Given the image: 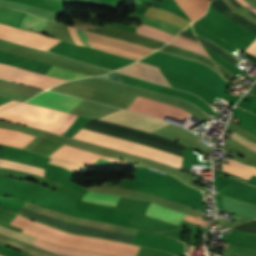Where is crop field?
<instances>
[{
    "label": "crop field",
    "mask_w": 256,
    "mask_h": 256,
    "mask_svg": "<svg viewBox=\"0 0 256 256\" xmlns=\"http://www.w3.org/2000/svg\"><path fill=\"white\" fill-rule=\"evenodd\" d=\"M222 165H223V171L230 172V173H232L234 175H237V176H239V177H241L245 180H247L251 176L248 173H245V172H242L240 170L234 169V168H232L230 166H227L225 164H222Z\"/></svg>",
    "instance_id": "crop-field-25"
},
{
    "label": "crop field",
    "mask_w": 256,
    "mask_h": 256,
    "mask_svg": "<svg viewBox=\"0 0 256 256\" xmlns=\"http://www.w3.org/2000/svg\"><path fill=\"white\" fill-rule=\"evenodd\" d=\"M26 13L0 7V23L13 27L19 26ZM0 24V38L27 46L48 50L60 40L40 35L38 33L13 28Z\"/></svg>",
    "instance_id": "crop-field-4"
},
{
    "label": "crop field",
    "mask_w": 256,
    "mask_h": 256,
    "mask_svg": "<svg viewBox=\"0 0 256 256\" xmlns=\"http://www.w3.org/2000/svg\"><path fill=\"white\" fill-rule=\"evenodd\" d=\"M0 167L22 170V171H26V172L36 174V175H40V176H43V173H44L43 169L28 166V165H24V164H20V163H16V162H12V161H9V160H4V159L1 160Z\"/></svg>",
    "instance_id": "crop-field-21"
},
{
    "label": "crop field",
    "mask_w": 256,
    "mask_h": 256,
    "mask_svg": "<svg viewBox=\"0 0 256 256\" xmlns=\"http://www.w3.org/2000/svg\"><path fill=\"white\" fill-rule=\"evenodd\" d=\"M242 6L246 7L247 9L251 10L252 12L256 13V9L251 5L247 4L244 0H237Z\"/></svg>",
    "instance_id": "crop-field-30"
},
{
    "label": "crop field",
    "mask_w": 256,
    "mask_h": 256,
    "mask_svg": "<svg viewBox=\"0 0 256 256\" xmlns=\"http://www.w3.org/2000/svg\"><path fill=\"white\" fill-rule=\"evenodd\" d=\"M81 101L82 99L45 91L26 101V103L69 112Z\"/></svg>",
    "instance_id": "crop-field-8"
},
{
    "label": "crop field",
    "mask_w": 256,
    "mask_h": 256,
    "mask_svg": "<svg viewBox=\"0 0 256 256\" xmlns=\"http://www.w3.org/2000/svg\"><path fill=\"white\" fill-rule=\"evenodd\" d=\"M170 43L175 44L177 46H180L184 49L191 50V51H194V52H197V53H200V54H203V55L207 56L203 47L195 45V44L190 43V42H187V41L182 40L178 37H175Z\"/></svg>",
    "instance_id": "crop-field-23"
},
{
    "label": "crop field",
    "mask_w": 256,
    "mask_h": 256,
    "mask_svg": "<svg viewBox=\"0 0 256 256\" xmlns=\"http://www.w3.org/2000/svg\"><path fill=\"white\" fill-rule=\"evenodd\" d=\"M18 214H21L23 216L41 221L43 223L49 224L51 226L60 228L62 230L68 231L70 233L75 234H81V235H87V236H93V237H99V238H105V239H112V240H118V241H124V242H131L132 238L122 235H117L113 233H108L104 231H99L95 229L85 228L81 226H76L72 224H68L26 209L21 208Z\"/></svg>",
    "instance_id": "crop-field-5"
},
{
    "label": "crop field",
    "mask_w": 256,
    "mask_h": 256,
    "mask_svg": "<svg viewBox=\"0 0 256 256\" xmlns=\"http://www.w3.org/2000/svg\"><path fill=\"white\" fill-rule=\"evenodd\" d=\"M178 37H180V38H184V39H187V40H189V41H191V42H193V43L199 44V43H198V42H196V41L190 40V39L185 38V37H182V36H180V35H178Z\"/></svg>",
    "instance_id": "crop-field-31"
},
{
    "label": "crop field",
    "mask_w": 256,
    "mask_h": 256,
    "mask_svg": "<svg viewBox=\"0 0 256 256\" xmlns=\"http://www.w3.org/2000/svg\"><path fill=\"white\" fill-rule=\"evenodd\" d=\"M118 199H119L118 196L100 194L95 192H87L83 198V200L85 201L97 202V203L108 204L113 206L116 205Z\"/></svg>",
    "instance_id": "crop-field-20"
},
{
    "label": "crop field",
    "mask_w": 256,
    "mask_h": 256,
    "mask_svg": "<svg viewBox=\"0 0 256 256\" xmlns=\"http://www.w3.org/2000/svg\"><path fill=\"white\" fill-rule=\"evenodd\" d=\"M116 71L129 74L135 77H139L145 80L160 83L163 85L171 86L169 82L164 78L159 68H154L139 61L135 62L131 66H127Z\"/></svg>",
    "instance_id": "crop-field-11"
},
{
    "label": "crop field",
    "mask_w": 256,
    "mask_h": 256,
    "mask_svg": "<svg viewBox=\"0 0 256 256\" xmlns=\"http://www.w3.org/2000/svg\"><path fill=\"white\" fill-rule=\"evenodd\" d=\"M153 51L154 50L146 49L133 45L131 43L116 40L115 44L110 50V53L137 60Z\"/></svg>",
    "instance_id": "crop-field-13"
},
{
    "label": "crop field",
    "mask_w": 256,
    "mask_h": 256,
    "mask_svg": "<svg viewBox=\"0 0 256 256\" xmlns=\"http://www.w3.org/2000/svg\"><path fill=\"white\" fill-rule=\"evenodd\" d=\"M145 215L156 217L177 225H179L184 217V214L160 207L152 203H150Z\"/></svg>",
    "instance_id": "crop-field-14"
},
{
    "label": "crop field",
    "mask_w": 256,
    "mask_h": 256,
    "mask_svg": "<svg viewBox=\"0 0 256 256\" xmlns=\"http://www.w3.org/2000/svg\"><path fill=\"white\" fill-rule=\"evenodd\" d=\"M246 52L256 55V40L251 44V46L246 50Z\"/></svg>",
    "instance_id": "crop-field-29"
},
{
    "label": "crop field",
    "mask_w": 256,
    "mask_h": 256,
    "mask_svg": "<svg viewBox=\"0 0 256 256\" xmlns=\"http://www.w3.org/2000/svg\"><path fill=\"white\" fill-rule=\"evenodd\" d=\"M136 32L139 33V34H143V35L153 37V38H156V39H159V40H163V41H166V42H168L172 38H174V36L164 32L162 30L155 29V28H152V27H150L148 25H144V24L137 27Z\"/></svg>",
    "instance_id": "crop-field-18"
},
{
    "label": "crop field",
    "mask_w": 256,
    "mask_h": 256,
    "mask_svg": "<svg viewBox=\"0 0 256 256\" xmlns=\"http://www.w3.org/2000/svg\"><path fill=\"white\" fill-rule=\"evenodd\" d=\"M227 162L230 166H233V167L238 168L240 170H243V171H246L248 173L256 175V168H254V167L245 166V165H243L239 162L232 161V160H227Z\"/></svg>",
    "instance_id": "crop-field-24"
},
{
    "label": "crop field",
    "mask_w": 256,
    "mask_h": 256,
    "mask_svg": "<svg viewBox=\"0 0 256 256\" xmlns=\"http://www.w3.org/2000/svg\"><path fill=\"white\" fill-rule=\"evenodd\" d=\"M128 109L134 110L136 112H141L155 116L157 118L163 119L165 115L171 116L173 118L183 120L185 116L189 113L166 104H162L156 101L149 100L147 98L136 97L133 103ZM186 118V117H185Z\"/></svg>",
    "instance_id": "crop-field-7"
},
{
    "label": "crop field",
    "mask_w": 256,
    "mask_h": 256,
    "mask_svg": "<svg viewBox=\"0 0 256 256\" xmlns=\"http://www.w3.org/2000/svg\"><path fill=\"white\" fill-rule=\"evenodd\" d=\"M184 220L194 222V223H196V224H198L200 226H203V227H205L206 224H207V222L201 221V220H199V219H197L195 217H191V216H187V215H185Z\"/></svg>",
    "instance_id": "crop-field-27"
},
{
    "label": "crop field",
    "mask_w": 256,
    "mask_h": 256,
    "mask_svg": "<svg viewBox=\"0 0 256 256\" xmlns=\"http://www.w3.org/2000/svg\"><path fill=\"white\" fill-rule=\"evenodd\" d=\"M73 137L86 140L94 144L116 148L124 152L147 157L158 162L166 163L181 168V157L157 149L144 147L132 142L120 140L117 138L109 137L106 135L94 133L83 129H81Z\"/></svg>",
    "instance_id": "crop-field-3"
},
{
    "label": "crop field",
    "mask_w": 256,
    "mask_h": 256,
    "mask_svg": "<svg viewBox=\"0 0 256 256\" xmlns=\"http://www.w3.org/2000/svg\"><path fill=\"white\" fill-rule=\"evenodd\" d=\"M76 117V115L26 103L0 112L1 120L26 124L59 135L65 133Z\"/></svg>",
    "instance_id": "crop-field-2"
},
{
    "label": "crop field",
    "mask_w": 256,
    "mask_h": 256,
    "mask_svg": "<svg viewBox=\"0 0 256 256\" xmlns=\"http://www.w3.org/2000/svg\"><path fill=\"white\" fill-rule=\"evenodd\" d=\"M0 234L19 239V240H21L23 242H27L29 244H31L32 241L34 240V238H32L30 236H27L25 234H22V233H19L16 231L5 229L3 227H0ZM32 245H35L37 247L43 248L48 251H52V252L59 253V254H65V255H69V256H106V255L94 254V253H89V252L64 249V248H60V247L54 246L52 244L46 243L44 241L37 240V239L34 240Z\"/></svg>",
    "instance_id": "crop-field-10"
},
{
    "label": "crop field",
    "mask_w": 256,
    "mask_h": 256,
    "mask_svg": "<svg viewBox=\"0 0 256 256\" xmlns=\"http://www.w3.org/2000/svg\"><path fill=\"white\" fill-rule=\"evenodd\" d=\"M19 103H21V102L12 100V101H10V102H7V103H5V104H2V105H0V111H2V110H4V109H7V108H9V107H11V106H14V105H16V104H19Z\"/></svg>",
    "instance_id": "crop-field-28"
},
{
    "label": "crop field",
    "mask_w": 256,
    "mask_h": 256,
    "mask_svg": "<svg viewBox=\"0 0 256 256\" xmlns=\"http://www.w3.org/2000/svg\"><path fill=\"white\" fill-rule=\"evenodd\" d=\"M46 21V19L26 14L19 28L33 30L41 33Z\"/></svg>",
    "instance_id": "crop-field-19"
},
{
    "label": "crop field",
    "mask_w": 256,
    "mask_h": 256,
    "mask_svg": "<svg viewBox=\"0 0 256 256\" xmlns=\"http://www.w3.org/2000/svg\"><path fill=\"white\" fill-rule=\"evenodd\" d=\"M127 18H138V19H140V21L142 23H145V24L151 25L153 27L162 29L164 31H167V32L175 35V36L182 31L181 28H179L177 26H174V25H172L168 22H165V21L160 20V19L152 18V17H147V16H144V15L130 13L127 16Z\"/></svg>",
    "instance_id": "crop-field-16"
},
{
    "label": "crop field",
    "mask_w": 256,
    "mask_h": 256,
    "mask_svg": "<svg viewBox=\"0 0 256 256\" xmlns=\"http://www.w3.org/2000/svg\"><path fill=\"white\" fill-rule=\"evenodd\" d=\"M62 161V160H61ZM61 161H58L56 159H51L50 163L51 164H55V165H59V166H62L64 168H67V169H70L72 171H75L79 168H81V166H77V165H73V164H69V163H65V162H61Z\"/></svg>",
    "instance_id": "crop-field-26"
},
{
    "label": "crop field",
    "mask_w": 256,
    "mask_h": 256,
    "mask_svg": "<svg viewBox=\"0 0 256 256\" xmlns=\"http://www.w3.org/2000/svg\"><path fill=\"white\" fill-rule=\"evenodd\" d=\"M0 243L6 244V245H10L22 250L27 251L29 254L33 255V256H64V255H59V254H55V253H51L48 251H45L43 249L34 247L32 245L23 243L21 241L18 240H13L4 236L0 235Z\"/></svg>",
    "instance_id": "crop-field-17"
},
{
    "label": "crop field",
    "mask_w": 256,
    "mask_h": 256,
    "mask_svg": "<svg viewBox=\"0 0 256 256\" xmlns=\"http://www.w3.org/2000/svg\"><path fill=\"white\" fill-rule=\"evenodd\" d=\"M13 220V219H12ZM10 225L23 233L57 245L112 256H136L140 247L66 233L17 215Z\"/></svg>",
    "instance_id": "crop-field-1"
},
{
    "label": "crop field",
    "mask_w": 256,
    "mask_h": 256,
    "mask_svg": "<svg viewBox=\"0 0 256 256\" xmlns=\"http://www.w3.org/2000/svg\"><path fill=\"white\" fill-rule=\"evenodd\" d=\"M47 75L58 77V78L69 79V80L89 76V75H86V74H82V73H78V72L58 68V67H55V66H53L50 69V71L47 73Z\"/></svg>",
    "instance_id": "crop-field-22"
},
{
    "label": "crop field",
    "mask_w": 256,
    "mask_h": 256,
    "mask_svg": "<svg viewBox=\"0 0 256 256\" xmlns=\"http://www.w3.org/2000/svg\"><path fill=\"white\" fill-rule=\"evenodd\" d=\"M0 78L44 89L66 81L4 64H0Z\"/></svg>",
    "instance_id": "crop-field-6"
},
{
    "label": "crop field",
    "mask_w": 256,
    "mask_h": 256,
    "mask_svg": "<svg viewBox=\"0 0 256 256\" xmlns=\"http://www.w3.org/2000/svg\"><path fill=\"white\" fill-rule=\"evenodd\" d=\"M69 31L75 44L84 45L88 47H91V44H92L93 48L100 49L107 52L110 50L113 43L115 42L114 39L98 36V35L87 32L91 41V44H90V41L86 32L72 28V27H69Z\"/></svg>",
    "instance_id": "crop-field-12"
},
{
    "label": "crop field",
    "mask_w": 256,
    "mask_h": 256,
    "mask_svg": "<svg viewBox=\"0 0 256 256\" xmlns=\"http://www.w3.org/2000/svg\"><path fill=\"white\" fill-rule=\"evenodd\" d=\"M49 157L66 160V161L73 162V163L83 165V166L91 165L93 162H95L100 157L130 165V163L115 160L112 158L97 155L94 153L79 150V149L72 148V147L65 146V145L61 146L59 149H57L55 152H53L51 155H49Z\"/></svg>",
    "instance_id": "crop-field-9"
},
{
    "label": "crop field",
    "mask_w": 256,
    "mask_h": 256,
    "mask_svg": "<svg viewBox=\"0 0 256 256\" xmlns=\"http://www.w3.org/2000/svg\"><path fill=\"white\" fill-rule=\"evenodd\" d=\"M183 10L189 15L191 21L204 15L208 0H176Z\"/></svg>",
    "instance_id": "crop-field-15"
}]
</instances>
